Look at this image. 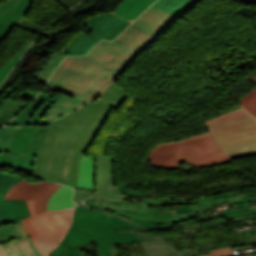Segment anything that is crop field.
<instances>
[{
    "mask_svg": "<svg viewBox=\"0 0 256 256\" xmlns=\"http://www.w3.org/2000/svg\"><path fill=\"white\" fill-rule=\"evenodd\" d=\"M127 94L112 85L96 103L48 124L35 159L33 177L76 188L80 152H86L111 111Z\"/></svg>",
    "mask_w": 256,
    "mask_h": 256,
    "instance_id": "crop-field-1",
    "label": "crop field"
},
{
    "mask_svg": "<svg viewBox=\"0 0 256 256\" xmlns=\"http://www.w3.org/2000/svg\"><path fill=\"white\" fill-rule=\"evenodd\" d=\"M123 48L122 45L103 40L85 56L66 57L46 86L65 96L58 97L41 124L49 123L99 98L118 78L103 69Z\"/></svg>",
    "mask_w": 256,
    "mask_h": 256,
    "instance_id": "crop-field-2",
    "label": "crop field"
},
{
    "mask_svg": "<svg viewBox=\"0 0 256 256\" xmlns=\"http://www.w3.org/2000/svg\"><path fill=\"white\" fill-rule=\"evenodd\" d=\"M210 132L178 141H186L200 136L213 134L230 158L256 155V119L243 108L205 121Z\"/></svg>",
    "mask_w": 256,
    "mask_h": 256,
    "instance_id": "crop-field-3",
    "label": "crop field"
},
{
    "mask_svg": "<svg viewBox=\"0 0 256 256\" xmlns=\"http://www.w3.org/2000/svg\"><path fill=\"white\" fill-rule=\"evenodd\" d=\"M32 217L21 220L34 246L46 256L66 233L72 217L71 209L49 211L36 215L33 202L27 200Z\"/></svg>",
    "mask_w": 256,
    "mask_h": 256,
    "instance_id": "crop-field-4",
    "label": "crop field"
},
{
    "mask_svg": "<svg viewBox=\"0 0 256 256\" xmlns=\"http://www.w3.org/2000/svg\"><path fill=\"white\" fill-rule=\"evenodd\" d=\"M211 135L172 145L156 146L148 160L153 166L178 169L180 162L192 161L222 153Z\"/></svg>",
    "mask_w": 256,
    "mask_h": 256,
    "instance_id": "crop-field-5",
    "label": "crop field"
},
{
    "mask_svg": "<svg viewBox=\"0 0 256 256\" xmlns=\"http://www.w3.org/2000/svg\"><path fill=\"white\" fill-rule=\"evenodd\" d=\"M83 23L93 30V35L80 33L62 53L68 55H85L101 39L113 40L119 35L130 22L113 15L105 13L89 18H85Z\"/></svg>",
    "mask_w": 256,
    "mask_h": 256,
    "instance_id": "crop-field-6",
    "label": "crop field"
},
{
    "mask_svg": "<svg viewBox=\"0 0 256 256\" xmlns=\"http://www.w3.org/2000/svg\"><path fill=\"white\" fill-rule=\"evenodd\" d=\"M45 128L46 125L19 127L12 138L8 154L0 153V167L13 168L32 176L34 159Z\"/></svg>",
    "mask_w": 256,
    "mask_h": 256,
    "instance_id": "crop-field-7",
    "label": "crop field"
},
{
    "mask_svg": "<svg viewBox=\"0 0 256 256\" xmlns=\"http://www.w3.org/2000/svg\"><path fill=\"white\" fill-rule=\"evenodd\" d=\"M135 231L143 230H111L110 227L88 228L67 233L64 238H66L74 247L89 245V241L91 240L96 244H130L164 238L146 235Z\"/></svg>",
    "mask_w": 256,
    "mask_h": 256,
    "instance_id": "crop-field-8",
    "label": "crop field"
},
{
    "mask_svg": "<svg viewBox=\"0 0 256 256\" xmlns=\"http://www.w3.org/2000/svg\"><path fill=\"white\" fill-rule=\"evenodd\" d=\"M157 36L131 25L114 42L126 46L119 55L105 68L110 72L122 75L139 53Z\"/></svg>",
    "mask_w": 256,
    "mask_h": 256,
    "instance_id": "crop-field-9",
    "label": "crop field"
},
{
    "mask_svg": "<svg viewBox=\"0 0 256 256\" xmlns=\"http://www.w3.org/2000/svg\"><path fill=\"white\" fill-rule=\"evenodd\" d=\"M112 229H142L123 218L107 211L77 206L74 212L72 227L69 232L87 227L109 226Z\"/></svg>",
    "mask_w": 256,
    "mask_h": 256,
    "instance_id": "crop-field-10",
    "label": "crop field"
},
{
    "mask_svg": "<svg viewBox=\"0 0 256 256\" xmlns=\"http://www.w3.org/2000/svg\"><path fill=\"white\" fill-rule=\"evenodd\" d=\"M61 187V185L44 181L39 184H30L21 180L12 186L6 193L4 199H31L35 200V212L37 214L46 212L49 197Z\"/></svg>",
    "mask_w": 256,
    "mask_h": 256,
    "instance_id": "crop-field-11",
    "label": "crop field"
},
{
    "mask_svg": "<svg viewBox=\"0 0 256 256\" xmlns=\"http://www.w3.org/2000/svg\"><path fill=\"white\" fill-rule=\"evenodd\" d=\"M92 196L109 199H127L116 188L112 157L97 155V193Z\"/></svg>",
    "mask_w": 256,
    "mask_h": 256,
    "instance_id": "crop-field-12",
    "label": "crop field"
},
{
    "mask_svg": "<svg viewBox=\"0 0 256 256\" xmlns=\"http://www.w3.org/2000/svg\"><path fill=\"white\" fill-rule=\"evenodd\" d=\"M43 91L36 97L35 102H32L28 108L7 125H40L43 116L59 96Z\"/></svg>",
    "mask_w": 256,
    "mask_h": 256,
    "instance_id": "crop-field-13",
    "label": "crop field"
},
{
    "mask_svg": "<svg viewBox=\"0 0 256 256\" xmlns=\"http://www.w3.org/2000/svg\"><path fill=\"white\" fill-rule=\"evenodd\" d=\"M178 18L179 17L152 5L133 23L158 36Z\"/></svg>",
    "mask_w": 256,
    "mask_h": 256,
    "instance_id": "crop-field-14",
    "label": "crop field"
},
{
    "mask_svg": "<svg viewBox=\"0 0 256 256\" xmlns=\"http://www.w3.org/2000/svg\"><path fill=\"white\" fill-rule=\"evenodd\" d=\"M4 195L0 193V224L18 222L31 216L26 200H3Z\"/></svg>",
    "mask_w": 256,
    "mask_h": 256,
    "instance_id": "crop-field-15",
    "label": "crop field"
},
{
    "mask_svg": "<svg viewBox=\"0 0 256 256\" xmlns=\"http://www.w3.org/2000/svg\"><path fill=\"white\" fill-rule=\"evenodd\" d=\"M141 245L146 256H197L209 253L207 251L200 254L197 248L176 251L172 243L165 244L164 240L144 242Z\"/></svg>",
    "mask_w": 256,
    "mask_h": 256,
    "instance_id": "crop-field-16",
    "label": "crop field"
},
{
    "mask_svg": "<svg viewBox=\"0 0 256 256\" xmlns=\"http://www.w3.org/2000/svg\"><path fill=\"white\" fill-rule=\"evenodd\" d=\"M17 86L12 85V87L5 93L4 96L0 97V100L3 98H7L10 94L15 90ZM37 92L34 91H23L19 95L20 98L27 99L32 101V99L37 95ZM28 103H23L15 100H9L4 104V106L0 109V126L5 124L7 121L11 120L15 117L22 109L28 106Z\"/></svg>",
    "mask_w": 256,
    "mask_h": 256,
    "instance_id": "crop-field-17",
    "label": "crop field"
},
{
    "mask_svg": "<svg viewBox=\"0 0 256 256\" xmlns=\"http://www.w3.org/2000/svg\"><path fill=\"white\" fill-rule=\"evenodd\" d=\"M31 1L32 0L3 1L0 4V21L13 26L19 24Z\"/></svg>",
    "mask_w": 256,
    "mask_h": 256,
    "instance_id": "crop-field-18",
    "label": "crop field"
},
{
    "mask_svg": "<svg viewBox=\"0 0 256 256\" xmlns=\"http://www.w3.org/2000/svg\"><path fill=\"white\" fill-rule=\"evenodd\" d=\"M14 229L18 235L22 238L20 240H14L7 243L4 246L9 256H41L31 243V239L27 235L21 224L14 225Z\"/></svg>",
    "mask_w": 256,
    "mask_h": 256,
    "instance_id": "crop-field-19",
    "label": "crop field"
},
{
    "mask_svg": "<svg viewBox=\"0 0 256 256\" xmlns=\"http://www.w3.org/2000/svg\"><path fill=\"white\" fill-rule=\"evenodd\" d=\"M154 1L156 0H124L113 14L132 22Z\"/></svg>",
    "mask_w": 256,
    "mask_h": 256,
    "instance_id": "crop-field-20",
    "label": "crop field"
},
{
    "mask_svg": "<svg viewBox=\"0 0 256 256\" xmlns=\"http://www.w3.org/2000/svg\"><path fill=\"white\" fill-rule=\"evenodd\" d=\"M77 188L94 190V156L81 153Z\"/></svg>",
    "mask_w": 256,
    "mask_h": 256,
    "instance_id": "crop-field-21",
    "label": "crop field"
},
{
    "mask_svg": "<svg viewBox=\"0 0 256 256\" xmlns=\"http://www.w3.org/2000/svg\"><path fill=\"white\" fill-rule=\"evenodd\" d=\"M103 209L112 211L118 215L129 217V218L151 219L148 216V211H144V210H131V209L119 208L115 206H109L106 204L104 205ZM192 217H194L193 214L184 215V216L175 217V218L152 219V220H158V221H161V223H171V222H180L183 220L190 219Z\"/></svg>",
    "mask_w": 256,
    "mask_h": 256,
    "instance_id": "crop-field-22",
    "label": "crop field"
},
{
    "mask_svg": "<svg viewBox=\"0 0 256 256\" xmlns=\"http://www.w3.org/2000/svg\"><path fill=\"white\" fill-rule=\"evenodd\" d=\"M224 203H232V205L237 204L238 207L234 206L232 208H245V207L251 206L246 195L243 194V195L230 197V198L209 200V201L197 203V205H196L197 209H195L194 211L215 209V208H217V206H220L221 204H224Z\"/></svg>",
    "mask_w": 256,
    "mask_h": 256,
    "instance_id": "crop-field-23",
    "label": "crop field"
},
{
    "mask_svg": "<svg viewBox=\"0 0 256 256\" xmlns=\"http://www.w3.org/2000/svg\"><path fill=\"white\" fill-rule=\"evenodd\" d=\"M199 0H158L154 5L168 10L169 12L181 16L191 10Z\"/></svg>",
    "mask_w": 256,
    "mask_h": 256,
    "instance_id": "crop-field-24",
    "label": "crop field"
},
{
    "mask_svg": "<svg viewBox=\"0 0 256 256\" xmlns=\"http://www.w3.org/2000/svg\"><path fill=\"white\" fill-rule=\"evenodd\" d=\"M254 211L256 213V209H254ZM195 218L197 219L198 223H200L201 229L204 230V229H209L227 222L253 219V218H256V214L246 215V216H242V217H238L230 220H228L221 213L204 215V216L195 217Z\"/></svg>",
    "mask_w": 256,
    "mask_h": 256,
    "instance_id": "crop-field-25",
    "label": "crop field"
},
{
    "mask_svg": "<svg viewBox=\"0 0 256 256\" xmlns=\"http://www.w3.org/2000/svg\"><path fill=\"white\" fill-rule=\"evenodd\" d=\"M72 193L73 190L71 188L62 186L51 196L48 202V211L75 207V205L71 202Z\"/></svg>",
    "mask_w": 256,
    "mask_h": 256,
    "instance_id": "crop-field-26",
    "label": "crop field"
},
{
    "mask_svg": "<svg viewBox=\"0 0 256 256\" xmlns=\"http://www.w3.org/2000/svg\"><path fill=\"white\" fill-rule=\"evenodd\" d=\"M65 56H67V55H64L62 53L53 54V56H52L50 62L48 63L47 67L41 72L37 82L45 85L49 76L53 72V70L56 68V66L61 62V60Z\"/></svg>",
    "mask_w": 256,
    "mask_h": 256,
    "instance_id": "crop-field-27",
    "label": "crop field"
},
{
    "mask_svg": "<svg viewBox=\"0 0 256 256\" xmlns=\"http://www.w3.org/2000/svg\"><path fill=\"white\" fill-rule=\"evenodd\" d=\"M16 129L17 126H5L0 129V152L7 154L11 138Z\"/></svg>",
    "mask_w": 256,
    "mask_h": 256,
    "instance_id": "crop-field-28",
    "label": "crop field"
},
{
    "mask_svg": "<svg viewBox=\"0 0 256 256\" xmlns=\"http://www.w3.org/2000/svg\"><path fill=\"white\" fill-rule=\"evenodd\" d=\"M226 162H231V160L225 153H223V154L215 155L212 157H208V158H204V159H200V160H196L188 163L195 164L198 166V168H200V167L213 166V165L226 163Z\"/></svg>",
    "mask_w": 256,
    "mask_h": 256,
    "instance_id": "crop-field-29",
    "label": "crop field"
},
{
    "mask_svg": "<svg viewBox=\"0 0 256 256\" xmlns=\"http://www.w3.org/2000/svg\"><path fill=\"white\" fill-rule=\"evenodd\" d=\"M159 201H156V199L152 198H141V199H136L139 202H143L148 205H154L156 207L159 204H166V203H194V199L191 198H159ZM164 208V207H160Z\"/></svg>",
    "mask_w": 256,
    "mask_h": 256,
    "instance_id": "crop-field-30",
    "label": "crop field"
},
{
    "mask_svg": "<svg viewBox=\"0 0 256 256\" xmlns=\"http://www.w3.org/2000/svg\"><path fill=\"white\" fill-rule=\"evenodd\" d=\"M48 256H83L71 246L66 239H63L59 246Z\"/></svg>",
    "mask_w": 256,
    "mask_h": 256,
    "instance_id": "crop-field-31",
    "label": "crop field"
},
{
    "mask_svg": "<svg viewBox=\"0 0 256 256\" xmlns=\"http://www.w3.org/2000/svg\"><path fill=\"white\" fill-rule=\"evenodd\" d=\"M29 44L30 43L28 41H25L18 51L12 56V58L2 68H0V82L7 75Z\"/></svg>",
    "mask_w": 256,
    "mask_h": 256,
    "instance_id": "crop-field-32",
    "label": "crop field"
},
{
    "mask_svg": "<svg viewBox=\"0 0 256 256\" xmlns=\"http://www.w3.org/2000/svg\"><path fill=\"white\" fill-rule=\"evenodd\" d=\"M253 116L256 114V88L238 100Z\"/></svg>",
    "mask_w": 256,
    "mask_h": 256,
    "instance_id": "crop-field-33",
    "label": "crop field"
},
{
    "mask_svg": "<svg viewBox=\"0 0 256 256\" xmlns=\"http://www.w3.org/2000/svg\"><path fill=\"white\" fill-rule=\"evenodd\" d=\"M20 180L21 178L16 175L0 173V192L6 193L13 184Z\"/></svg>",
    "mask_w": 256,
    "mask_h": 256,
    "instance_id": "crop-field-34",
    "label": "crop field"
},
{
    "mask_svg": "<svg viewBox=\"0 0 256 256\" xmlns=\"http://www.w3.org/2000/svg\"><path fill=\"white\" fill-rule=\"evenodd\" d=\"M106 204L115 205L119 207H125V208H131V209H144L147 210V206L136 202V201H129V200H123V201H109L106 200Z\"/></svg>",
    "mask_w": 256,
    "mask_h": 256,
    "instance_id": "crop-field-35",
    "label": "crop field"
},
{
    "mask_svg": "<svg viewBox=\"0 0 256 256\" xmlns=\"http://www.w3.org/2000/svg\"><path fill=\"white\" fill-rule=\"evenodd\" d=\"M20 239L14 231L13 226H5L0 228V243L9 239Z\"/></svg>",
    "mask_w": 256,
    "mask_h": 256,
    "instance_id": "crop-field-36",
    "label": "crop field"
},
{
    "mask_svg": "<svg viewBox=\"0 0 256 256\" xmlns=\"http://www.w3.org/2000/svg\"><path fill=\"white\" fill-rule=\"evenodd\" d=\"M99 256H120L117 247L113 245H98Z\"/></svg>",
    "mask_w": 256,
    "mask_h": 256,
    "instance_id": "crop-field-37",
    "label": "crop field"
},
{
    "mask_svg": "<svg viewBox=\"0 0 256 256\" xmlns=\"http://www.w3.org/2000/svg\"><path fill=\"white\" fill-rule=\"evenodd\" d=\"M149 216L152 218H165V217H174L179 215L172 212L165 211V210L149 207Z\"/></svg>",
    "mask_w": 256,
    "mask_h": 256,
    "instance_id": "crop-field-38",
    "label": "crop field"
},
{
    "mask_svg": "<svg viewBox=\"0 0 256 256\" xmlns=\"http://www.w3.org/2000/svg\"><path fill=\"white\" fill-rule=\"evenodd\" d=\"M118 188H119V190H120L123 194H125V195H127V196H129V197H131V198H135V197H147V196H149V194H150V192H136V191H134V190H129V189H127V188H125L124 186H121V185H118Z\"/></svg>",
    "mask_w": 256,
    "mask_h": 256,
    "instance_id": "crop-field-39",
    "label": "crop field"
},
{
    "mask_svg": "<svg viewBox=\"0 0 256 256\" xmlns=\"http://www.w3.org/2000/svg\"><path fill=\"white\" fill-rule=\"evenodd\" d=\"M211 253L203 256H234L230 247L210 250Z\"/></svg>",
    "mask_w": 256,
    "mask_h": 256,
    "instance_id": "crop-field-40",
    "label": "crop field"
},
{
    "mask_svg": "<svg viewBox=\"0 0 256 256\" xmlns=\"http://www.w3.org/2000/svg\"><path fill=\"white\" fill-rule=\"evenodd\" d=\"M231 193L233 196L246 193L250 201L256 200V185H255V187L237 190V191H233Z\"/></svg>",
    "mask_w": 256,
    "mask_h": 256,
    "instance_id": "crop-field-41",
    "label": "crop field"
},
{
    "mask_svg": "<svg viewBox=\"0 0 256 256\" xmlns=\"http://www.w3.org/2000/svg\"><path fill=\"white\" fill-rule=\"evenodd\" d=\"M75 193L73 196V201L77 204L79 201L83 200L86 197L90 196V191L74 189Z\"/></svg>",
    "mask_w": 256,
    "mask_h": 256,
    "instance_id": "crop-field-42",
    "label": "crop field"
},
{
    "mask_svg": "<svg viewBox=\"0 0 256 256\" xmlns=\"http://www.w3.org/2000/svg\"><path fill=\"white\" fill-rule=\"evenodd\" d=\"M104 201L105 200H101V199H98V198H89V199H86L84 201V203L87 206H90V207H93V208H100V209H102V207L104 205ZM89 202H91V204H89Z\"/></svg>",
    "mask_w": 256,
    "mask_h": 256,
    "instance_id": "crop-field-43",
    "label": "crop field"
},
{
    "mask_svg": "<svg viewBox=\"0 0 256 256\" xmlns=\"http://www.w3.org/2000/svg\"><path fill=\"white\" fill-rule=\"evenodd\" d=\"M195 205L194 206H176V207H172V208H164L167 210H171L177 213H182V214H186L189 212H192L193 209H195Z\"/></svg>",
    "mask_w": 256,
    "mask_h": 256,
    "instance_id": "crop-field-44",
    "label": "crop field"
},
{
    "mask_svg": "<svg viewBox=\"0 0 256 256\" xmlns=\"http://www.w3.org/2000/svg\"><path fill=\"white\" fill-rule=\"evenodd\" d=\"M12 26L2 24L0 22V43L9 35Z\"/></svg>",
    "mask_w": 256,
    "mask_h": 256,
    "instance_id": "crop-field-45",
    "label": "crop field"
},
{
    "mask_svg": "<svg viewBox=\"0 0 256 256\" xmlns=\"http://www.w3.org/2000/svg\"><path fill=\"white\" fill-rule=\"evenodd\" d=\"M229 196H231L230 192L222 193V194H216V195H212V196H208V197H204V198L195 199V202L204 201V200H208V199H216V198H222V197H229Z\"/></svg>",
    "mask_w": 256,
    "mask_h": 256,
    "instance_id": "crop-field-46",
    "label": "crop field"
},
{
    "mask_svg": "<svg viewBox=\"0 0 256 256\" xmlns=\"http://www.w3.org/2000/svg\"><path fill=\"white\" fill-rule=\"evenodd\" d=\"M238 1H241L249 5L256 4V0H238Z\"/></svg>",
    "mask_w": 256,
    "mask_h": 256,
    "instance_id": "crop-field-47",
    "label": "crop field"
},
{
    "mask_svg": "<svg viewBox=\"0 0 256 256\" xmlns=\"http://www.w3.org/2000/svg\"><path fill=\"white\" fill-rule=\"evenodd\" d=\"M0 256H8L5 251H4V248L2 245H0Z\"/></svg>",
    "mask_w": 256,
    "mask_h": 256,
    "instance_id": "crop-field-48",
    "label": "crop field"
},
{
    "mask_svg": "<svg viewBox=\"0 0 256 256\" xmlns=\"http://www.w3.org/2000/svg\"><path fill=\"white\" fill-rule=\"evenodd\" d=\"M250 80H252V81H254L255 83H256V76L255 77H253L252 79H250Z\"/></svg>",
    "mask_w": 256,
    "mask_h": 256,
    "instance_id": "crop-field-49",
    "label": "crop field"
},
{
    "mask_svg": "<svg viewBox=\"0 0 256 256\" xmlns=\"http://www.w3.org/2000/svg\"><path fill=\"white\" fill-rule=\"evenodd\" d=\"M78 251H80L81 252V250H78ZM83 253V252H82ZM84 254V256H86V254L85 253H83Z\"/></svg>",
    "mask_w": 256,
    "mask_h": 256,
    "instance_id": "crop-field-50",
    "label": "crop field"
},
{
    "mask_svg": "<svg viewBox=\"0 0 256 256\" xmlns=\"http://www.w3.org/2000/svg\"><path fill=\"white\" fill-rule=\"evenodd\" d=\"M255 184H256V177H255Z\"/></svg>",
    "mask_w": 256,
    "mask_h": 256,
    "instance_id": "crop-field-51",
    "label": "crop field"
},
{
    "mask_svg": "<svg viewBox=\"0 0 256 256\" xmlns=\"http://www.w3.org/2000/svg\"><path fill=\"white\" fill-rule=\"evenodd\" d=\"M254 117H256V116H254Z\"/></svg>",
    "mask_w": 256,
    "mask_h": 256,
    "instance_id": "crop-field-52",
    "label": "crop field"
}]
</instances>
